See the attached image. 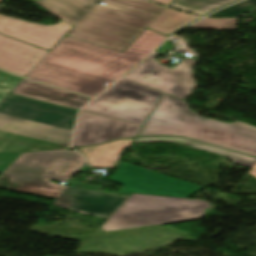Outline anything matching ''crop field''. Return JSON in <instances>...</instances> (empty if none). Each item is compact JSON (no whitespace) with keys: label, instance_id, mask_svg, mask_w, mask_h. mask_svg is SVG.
<instances>
[{"label":"crop field","instance_id":"1","mask_svg":"<svg viewBox=\"0 0 256 256\" xmlns=\"http://www.w3.org/2000/svg\"><path fill=\"white\" fill-rule=\"evenodd\" d=\"M167 37L145 29L123 52L65 36L27 78L90 95L102 92Z\"/></svg>","mask_w":256,"mask_h":256},{"label":"crop field","instance_id":"2","mask_svg":"<svg viewBox=\"0 0 256 256\" xmlns=\"http://www.w3.org/2000/svg\"><path fill=\"white\" fill-rule=\"evenodd\" d=\"M84 163L69 149L22 153L3 173L10 177L4 189L53 198L54 205L109 218L131 194L103 191L72 179L68 181L71 188L48 182L66 181Z\"/></svg>","mask_w":256,"mask_h":256},{"label":"crop field","instance_id":"3","mask_svg":"<svg viewBox=\"0 0 256 256\" xmlns=\"http://www.w3.org/2000/svg\"><path fill=\"white\" fill-rule=\"evenodd\" d=\"M77 112L8 94L0 102V152L70 147Z\"/></svg>","mask_w":256,"mask_h":256},{"label":"crop field","instance_id":"4","mask_svg":"<svg viewBox=\"0 0 256 256\" xmlns=\"http://www.w3.org/2000/svg\"><path fill=\"white\" fill-rule=\"evenodd\" d=\"M147 135L188 137L256 157V127L202 117L185 102L164 94L138 136Z\"/></svg>","mask_w":256,"mask_h":256},{"label":"crop field","instance_id":"5","mask_svg":"<svg viewBox=\"0 0 256 256\" xmlns=\"http://www.w3.org/2000/svg\"><path fill=\"white\" fill-rule=\"evenodd\" d=\"M67 34L123 51L165 7L143 0H100Z\"/></svg>","mask_w":256,"mask_h":256},{"label":"crop field","instance_id":"6","mask_svg":"<svg viewBox=\"0 0 256 256\" xmlns=\"http://www.w3.org/2000/svg\"><path fill=\"white\" fill-rule=\"evenodd\" d=\"M205 201L133 194L102 226L105 231L171 222L204 216Z\"/></svg>","mask_w":256,"mask_h":256},{"label":"crop field","instance_id":"7","mask_svg":"<svg viewBox=\"0 0 256 256\" xmlns=\"http://www.w3.org/2000/svg\"><path fill=\"white\" fill-rule=\"evenodd\" d=\"M161 93L121 79L84 111L144 125Z\"/></svg>","mask_w":256,"mask_h":256},{"label":"crop field","instance_id":"8","mask_svg":"<svg viewBox=\"0 0 256 256\" xmlns=\"http://www.w3.org/2000/svg\"><path fill=\"white\" fill-rule=\"evenodd\" d=\"M111 182L124 185L119 192L189 198L204 188L125 162L116 168Z\"/></svg>","mask_w":256,"mask_h":256},{"label":"crop field","instance_id":"9","mask_svg":"<svg viewBox=\"0 0 256 256\" xmlns=\"http://www.w3.org/2000/svg\"><path fill=\"white\" fill-rule=\"evenodd\" d=\"M152 54L146 61L129 72L124 78L155 88L162 92L185 98L191 94L190 90L195 87V83L190 76V65L195 60L188 58L171 69L158 63Z\"/></svg>","mask_w":256,"mask_h":256},{"label":"crop field","instance_id":"10","mask_svg":"<svg viewBox=\"0 0 256 256\" xmlns=\"http://www.w3.org/2000/svg\"><path fill=\"white\" fill-rule=\"evenodd\" d=\"M142 126L81 111L73 147L100 144L123 137L137 136Z\"/></svg>","mask_w":256,"mask_h":256},{"label":"crop field","instance_id":"11","mask_svg":"<svg viewBox=\"0 0 256 256\" xmlns=\"http://www.w3.org/2000/svg\"><path fill=\"white\" fill-rule=\"evenodd\" d=\"M73 26L64 21L44 27L0 16V33L51 51Z\"/></svg>","mask_w":256,"mask_h":256},{"label":"crop field","instance_id":"12","mask_svg":"<svg viewBox=\"0 0 256 256\" xmlns=\"http://www.w3.org/2000/svg\"><path fill=\"white\" fill-rule=\"evenodd\" d=\"M49 51L0 34V68L26 77Z\"/></svg>","mask_w":256,"mask_h":256},{"label":"crop field","instance_id":"13","mask_svg":"<svg viewBox=\"0 0 256 256\" xmlns=\"http://www.w3.org/2000/svg\"><path fill=\"white\" fill-rule=\"evenodd\" d=\"M78 110L91 98L23 79L11 92Z\"/></svg>","mask_w":256,"mask_h":256},{"label":"crop field","instance_id":"14","mask_svg":"<svg viewBox=\"0 0 256 256\" xmlns=\"http://www.w3.org/2000/svg\"><path fill=\"white\" fill-rule=\"evenodd\" d=\"M134 138L122 139L101 145L80 148L91 167L113 168L124 149Z\"/></svg>","mask_w":256,"mask_h":256},{"label":"crop field","instance_id":"15","mask_svg":"<svg viewBox=\"0 0 256 256\" xmlns=\"http://www.w3.org/2000/svg\"><path fill=\"white\" fill-rule=\"evenodd\" d=\"M97 1L98 0H41L35 3L74 26Z\"/></svg>","mask_w":256,"mask_h":256},{"label":"crop field","instance_id":"16","mask_svg":"<svg viewBox=\"0 0 256 256\" xmlns=\"http://www.w3.org/2000/svg\"><path fill=\"white\" fill-rule=\"evenodd\" d=\"M199 17L166 8L148 27L163 35H170L173 32L189 25Z\"/></svg>","mask_w":256,"mask_h":256},{"label":"crop field","instance_id":"17","mask_svg":"<svg viewBox=\"0 0 256 256\" xmlns=\"http://www.w3.org/2000/svg\"><path fill=\"white\" fill-rule=\"evenodd\" d=\"M148 141H167V142H180L189 146L197 147L200 149H204L210 152H214L217 154H221L224 156L230 157L229 160L234 161L235 164H239L245 167L251 168L253 164L256 162V158L249 157L246 155L222 150L219 148H215L197 141H193L186 138H171V137H138L135 138L134 142H148Z\"/></svg>","mask_w":256,"mask_h":256},{"label":"crop field","instance_id":"18","mask_svg":"<svg viewBox=\"0 0 256 256\" xmlns=\"http://www.w3.org/2000/svg\"><path fill=\"white\" fill-rule=\"evenodd\" d=\"M236 1L238 0H175L169 7L203 16L212 10Z\"/></svg>","mask_w":256,"mask_h":256},{"label":"crop field","instance_id":"19","mask_svg":"<svg viewBox=\"0 0 256 256\" xmlns=\"http://www.w3.org/2000/svg\"><path fill=\"white\" fill-rule=\"evenodd\" d=\"M256 9V0H246L237 5L222 9L208 17H239Z\"/></svg>","mask_w":256,"mask_h":256},{"label":"crop field","instance_id":"20","mask_svg":"<svg viewBox=\"0 0 256 256\" xmlns=\"http://www.w3.org/2000/svg\"><path fill=\"white\" fill-rule=\"evenodd\" d=\"M237 19H209L205 18L189 28H221L234 29Z\"/></svg>","mask_w":256,"mask_h":256},{"label":"crop field","instance_id":"21","mask_svg":"<svg viewBox=\"0 0 256 256\" xmlns=\"http://www.w3.org/2000/svg\"><path fill=\"white\" fill-rule=\"evenodd\" d=\"M22 78L0 71V101L16 87Z\"/></svg>","mask_w":256,"mask_h":256},{"label":"crop field","instance_id":"22","mask_svg":"<svg viewBox=\"0 0 256 256\" xmlns=\"http://www.w3.org/2000/svg\"><path fill=\"white\" fill-rule=\"evenodd\" d=\"M20 155L21 153L0 154V173L6 170Z\"/></svg>","mask_w":256,"mask_h":256},{"label":"crop field","instance_id":"23","mask_svg":"<svg viewBox=\"0 0 256 256\" xmlns=\"http://www.w3.org/2000/svg\"><path fill=\"white\" fill-rule=\"evenodd\" d=\"M172 45L170 43V40H168L159 50L156 51L158 54H164L169 52L172 49Z\"/></svg>","mask_w":256,"mask_h":256},{"label":"crop field","instance_id":"24","mask_svg":"<svg viewBox=\"0 0 256 256\" xmlns=\"http://www.w3.org/2000/svg\"><path fill=\"white\" fill-rule=\"evenodd\" d=\"M161 4H164L166 6H168L173 0H152Z\"/></svg>","mask_w":256,"mask_h":256},{"label":"crop field","instance_id":"25","mask_svg":"<svg viewBox=\"0 0 256 256\" xmlns=\"http://www.w3.org/2000/svg\"><path fill=\"white\" fill-rule=\"evenodd\" d=\"M250 174L254 175L256 177V164L255 166L251 169V171L249 172Z\"/></svg>","mask_w":256,"mask_h":256},{"label":"crop field","instance_id":"26","mask_svg":"<svg viewBox=\"0 0 256 256\" xmlns=\"http://www.w3.org/2000/svg\"><path fill=\"white\" fill-rule=\"evenodd\" d=\"M32 150H41V149H35V148H32L31 150H29V151H32Z\"/></svg>","mask_w":256,"mask_h":256},{"label":"crop field","instance_id":"27","mask_svg":"<svg viewBox=\"0 0 256 256\" xmlns=\"http://www.w3.org/2000/svg\"><path fill=\"white\" fill-rule=\"evenodd\" d=\"M1 1V0H0Z\"/></svg>","mask_w":256,"mask_h":256}]
</instances>
